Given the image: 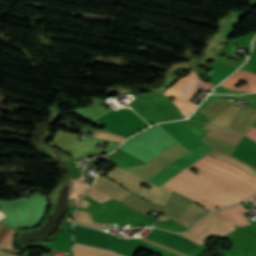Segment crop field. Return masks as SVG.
<instances>
[{
  "instance_id": "8",
  "label": "crop field",
  "mask_w": 256,
  "mask_h": 256,
  "mask_svg": "<svg viewBox=\"0 0 256 256\" xmlns=\"http://www.w3.org/2000/svg\"><path fill=\"white\" fill-rule=\"evenodd\" d=\"M198 162L203 163L207 166H210L218 171L234 176L250 185H252L256 189V177L217 159H214L210 156H205L198 160Z\"/></svg>"
},
{
  "instance_id": "7",
  "label": "crop field",
  "mask_w": 256,
  "mask_h": 256,
  "mask_svg": "<svg viewBox=\"0 0 256 256\" xmlns=\"http://www.w3.org/2000/svg\"><path fill=\"white\" fill-rule=\"evenodd\" d=\"M94 189L112 197L113 199L123 200L126 196H128L131 192L123 189L122 187L102 178L99 176L98 180L93 185ZM88 192V196L95 199L96 201L102 203L106 200L111 199L110 197L92 189Z\"/></svg>"
},
{
  "instance_id": "3",
  "label": "crop field",
  "mask_w": 256,
  "mask_h": 256,
  "mask_svg": "<svg viewBox=\"0 0 256 256\" xmlns=\"http://www.w3.org/2000/svg\"><path fill=\"white\" fill-rule=\"evenodd\" d=\"M197 78V75L192 71L188 75L177 80L166 91L165 96L176 97L172 102L178 107L184 117L189 116V114L197 107V105L189 102L197 90L203 88L210 91L215 85L211 82L206 84Z\"/></svg>"
},
{
  "instance_id": "12",
  "label": "crop field",
  "mask_w": 256,
  "mask_h": 256,
  "mask_svg": "<svg viewBox=\"0 0 256 256\" xmlns=\"http://www.w3.org/2000/svg\"><path fill=\"white\" fill-rule=\"evenodd\" d=\"M209 66H211L213 69L207 76L217 83L224 80L232 71L235 70V68L231 66L216 61L211 63Z\"/></svg>"
},
{
  "instance_id": "14",
  "label": "crop field",
  "mask_w": 256,
  "mask_h": 256,
  "mask_svg": "<svg viewBox=\"0 0 256 256\" xmlns=\"http://www.w3.org/2000/svg\"><path fill=\"white\" fill-rule=\"evenodd\" d=\"M74 256H120L116 253L91 247L75 245Z\"/></svg>"
},
{
  "instance_id": "18",
  "label": "crop field",
  "mask_w": 256,
  "mask_h": 256,
  "mask_svg": "<svg viewBox=\"0 0 256 256\" xmlns=\"http://www.w3.org/2000/svg\"><path fill=\"white\" fill-rule=\"evenodd\" d=\"M94 137L111 139V140L121 141V142L125 140V138L115 136V135L105 134V133H101V132H96Z\"/></svg>"
},
{
  "instance_id": "17",
  "label": "crop field",
  "mask_w": 256,
  "mask_h": 256,
  "mask_svg": "<svg viewBox=\"0 0 256 256\" xmlns=\"http://www.w3.org/2000/svg\"><path fill=\"white\" fill-rule=\"evenodd\" d=\"M14 233V229L0 226V247L6 250H12V235Z\"/></svg>"
},
{
  "instance_id": "23",
  "label": "crop field",
  "mask_w": 256,
  "mask_h": 256,
  "mask_svg": "<svg viewBox=\"0 0 256 256\" xmlns=\"http://www.w3.org/2000/svg\"><path fill=\"white\" fill-rule=\"evenodd\" d=\"M223 92H225V91H223L217 87L212 93H223Z\"/></svg>"
},
{
  "instance_id": "11",
  "label": "crop field",
  "mask_w": 256,
  "mask_h": 256,
  "mask_svg": "<svg viewBox=\"0 0 256 256\" xmlns=\"http://www.w3.org/2000/svg\"><path fill=\"white\" fill-rule=\"evenodd\" d=\"M243 80L256 86V75L241 70H239L231 78L223 82L221 86L232 89Z\"/></svg>"
},
{
  "instance_id": "19",
  "label": "crop field",
  "mask_w": 256,
  "mask_h": 256,
  "mask_svg": "<svg viewBox=\"0 0 256 256\" xmlns=\"http://www.w3.org/2000/svg\"><path fill=\"white\" fill-rule=\"evenodd\" d=\"M218 96H220V95H210L209 98L198 108V110L196 111V113H197L202 107H204L205 105H207L208 103H210L212 100H214V99L217 98ZM196 113H195V114H196ZM195 114H194V115H195ZM194 115H192V116L190 117V119H191Z\"/></svg>"
},
{
  "instance_id": "25",
  "label": "crop field",
  "mask_w": 256,
  "mask_h": 256,
  "mask_svg": "<svg viewBox=\"0 0 256 256\" xmlns=\"http://www.w3.org/2000/svg\"><path fill=\"white\" fill-rule=\"evenodd\" d=\"M253 201H255V202H256V198H255V199H253Z\"/></svg>"
},
{
  "instance_id": "15",
  "label": "crop field",
  "mask_w": 256,
  "mask_h": 256,
  "mask_svg": "<svg viewBox=\"0 0 256 256\" xmlns=\"http://www.w3.org/2000/svg\"><path fill=\"white\" fill-rule=\"evenodd\" d=\"M74 112L77 113L78 115H80L82 118H84L85 120H87L90 123L94 122L96 119H98L104 113H106L98 106L74 110Z\"/></svg>"
},
{
  "instance_id": "22",
  "label": "crop field",
  "mask_w": 256,
  "mask_h": 256,
  "mask_svg": "<svg viewBox=\"0 0 256 256\" xmlns=\"http://www.w3.org/2000/svg\"><path fill=\"white\" fill-rule=\"evenodd\" d=\"M89 203H90V202H88V201H86V200L83 199L81 205H80V204H79V205H80L81 207L87 208V206H88Z\"/></svg>"
},
{
  "instance_id": "24",
  "label": "crop field",
  "mask_w": 256,
  "mask_h": 256,
  "mask_svg": "<svg viewBox=\"0 0 256 256\" xmlns=\"http://www.w3.org/2000/svg\"><path fill=\"white\" fill-rule=\"evenodd\" d=\"M72 216V215H71ZM71 216H69L68 218H67V221H71Z\"/></svg>"
},
{
  "instance_id": "4",
  "label": "crop field",
  "mask_w": 256,
  "mask_h": 256,
  "mask_svg": "<svg viewBox=\"0 0 256 256\" xmlns=\"http://www.w3.org/2000/svg\"><path fill=\"white\" fill-rule=\"evenodd\" d=\"M110 179L122 184L126 188L130 189L131 191H136L138 188H140V184L142 182L148 184L151 186L150 190L145 188H140L137 190L136 194L160 205L164 206L170 195L172 194V191L164 188V187H158L146 180H143L129 172H126L119 168H114L111 171H109V177Z\"/></svg>"
},
{
  "instance_id": "21",
  "label": "crop field",
  "mask_w": 256,
  "mask_h": 256,
  "mask_svg": "<svg viewBox=\"0 0 256 256\" xmlns=\"http://www.w3.org/2000/svg\"><path fill=\"white\" fill-rule=\"evenodd\" d=\"M0 256H17V255L0 250Z\"/></svg>"
},
{
  "instance_id": "5",
  "label": "crop field",
  "mask_w": 256,
  "mask_h": 256,
  "mask_svg": "<svg viewBox=\"0 0 256 256\" xmlns=\"http://www.w3.org/2000/svg\"><path fill=\"white\" fill-rule=\"evenodd\" d=\"M193 202L194 201L175 192H173L164 207L153 205L133 193L122 201L124 205L145 215L155 209L160 213L176 217H179L185 210H187Z\"/></svg>"
},
{
  "instance_id": "16",
  "label": "crop field",
  "mask_w": 256,
  "mask_h": 256,
  "mask_svg": "<svg viewBox=\"0 0 256 256\" xmlns=\"http://www.w3.org/2000/svg\"><path fill=\"white\" fill-rule=\"evenodd\" d=\"M75 222L83 223V224L90 225L93 227H101V228H104L105 226L112 225V224H101V223L94 222L91 219L90 212L79 210V209H77L76 214H75Z\"/></svg>"
},
{
  "instance_id": "9",
  "label": "crop field",
  "mask_w": 256,
  "mask_h": 256,
  "mask_svg": "<svg viewBox=\"0 0 256 256\" xmlns=\"http://www.w3.org/2000/svg\"><path fill=\"white\" fill-rule=\"evenodd\" d=\"M209 211L210 210H208V209L200 208V207L196 206V204L194 202V204L186 212H184L178 218L177 221H176V219H177L176 217L167 216V215H163V214L160 215L158 220L166 221L169 217H171L176 222L189 228L198 218L202 217Z\"/></svg>"
},
{
  "instance_id": "6",
  "label": "crop field",
  "mask_w": 256,
  "mask_h": 256,
  "mask_svg": "<svg viewBox=\"0 0 256 256\" xmlns=\"http://www.w3.org/2000/svg\"><path fill=\"white\" fill-rule=\"evenodd\" d=\"M234 228L235 225L231 222L213 213L199 222L192 231L182 235L198 244H205L203 238L208 239L211 235L222 236L230 233Z\"/></svg>"
},
{
  "instance_id": "20",
  "label": "crop field",
  "mask_w": 256,
  "mask_h": 256,
  "mask_svg": "<svg viewBox=\"0 0 256 256\" xmlns=\"http://www.w3.org/2000/svg\"><path fill=\"white\" fill-rule=\"evenodd\" d=\"M245 135L256 141V128L251 126Z\"/></svg>"
},
{
  "instance_id": "2",
  "label": "crop field",
  "mask_w": 256,
  "mask_h": 256,
  "mask_svg": "<svg viewBox=\"0 0 256 256\" xmlns=\"http://www.w3.org/2000/svg\"><path fill=\"white\" fill-rule=\"evenodd\" d=\"M176 141L158 125L130 138L119 149L126 151L146 163ZM212 150L207 144H202L190 151L179 160L165 168L163 171L150 178L148 181L160 186L180 171L196 162Z\"/></svg>"
},
{
  "instance_id": "13",
  "label": "crop field",
  "mask_w": 256,
  "mask_h": 256,
  "mask_svg": "<svg viewBox=\"0 0 256 256\" xmlns=\"http://www.w3.org/2000/svg\"><path fill=\"white\" fill-rule=\"evenodd\" d=\"M212 154H215L217 156V157H215V156H213V157H215L217 159H220V160H223V161H226V162H228V163H230V164H232V165H234V166H236V167H238V168L256 176V169H254L253 167H251V166H249V165H247V164H245V163H243V162H241L237 159H234L230 156H227L223 153H220L216 150L212 151L209 155L212 156Z\"/></svg>"
},
{
  "instance_id": "1",
  "label": "crop field",
  "mask_w": 256,
  "mask_h": 256,
  "mask_svg": "<svg viewBox=\"0 0 256 256\" xmlns=\"http://www.w3.org/2000/svg\"><path fill=\"white\" fill-rule=\"evenodd\" d=\"M195 168V175L189 169ZM163 186L211 209L241 203L256 194L249 185L198 162L189 166Z\"/></svg>"
},
{
  "instance_id": "10",
  "label": "crop field",
  "mask_w": 256,
  "mask_h": 256,
  "mask_svg": "<svg viewBox=\"0 0 256 256\" xmlns=\"http://www.w3.org/2000/svg\"><path fill=\"white\" fill-rule=\"evenodd\" d=\"M244 212L246 211L242 207L237 206V207L220 210V211H217L216 213L228 219L229 221L235 223L238 226H243V225L250 224V222H248L246 218L241 214Z\"/></svg>"
}]
</instances>
